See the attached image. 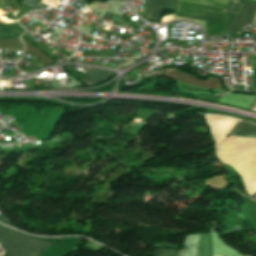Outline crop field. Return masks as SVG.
I'll use <instances>...</instances> for the list:
<instances>
[{"instance_id":"8a807250","label":"crop field","mask_w":256,"mask_h":256,"mask_svg":"<svg viewBox=\"0 0 256 256\" xmlns=\"http://www.w3.org/2000/svg\"><path fill=\"white\" fill-rule=\"evenodd\" d=\"M229 0H178L176 14L165 16L161 24L173 19L206 22V35L223 36L229 14L223 13Z\"/></svg>"},{"instance_id":"ac0d7876","label":"crop field","mask_w":256,"mask_h":256,"mask_svg":"<svg viewBox=\"0 0 256 256\" xmlns=\"http://www.w3.org/2000/svg\"><path fill=\"white\" fill-rule=\"evenodd\" d=\"M49 245L0 227V247L6 256H38Z\"/></svg>"},{"instance_id":"34b2d1b8","label":"crop field","mask_w":256,"mask_h":256,"mask_svg":"<svg viewBox=\"0 0 256 256\" xmlns=\"http://www.w3.org/2000/svg\"><path fill=\"white\" fill-rule=\"evenodd\" d=\"M225 12L232 14L227 26L226 34L233 33L241 31L244 22H252L256 12V5L239 0H230Z\"/></svg>"},{"instance_id":"412701ff","label":"crop field","mask_w":256,"mask_h":256,"mask_svg":"<svg viewBox=\"0 0 256 256\" xmlns=\"http://www.w3.org/2000/svg\"><path fill=\"white\" fill-rule=\"evenodd\" d=\"M199 234L186 235L179 256H195ZM196 256H212L210 234H200Z\"/></svg>"},{"instance_id":"f4fd0767","label":"crop field","mask_w":256,"mask_h":256,"mask_svg":"<svg viewBox=\"0 0 256 256\" xmlns=\"http://www.w3.org/2000/svg\"><path fill=\"white\" fill-rule=\"evenodd\" d=\"M173 0H150L147 8L146 18L159 23V18L163 9H168Z\"/></svg>"},{"instance_id":"dd49c442","label":"crop field","mask_w":256,"mask_h":256,"mask_svg":"<svg viewBox=\"0 0 256 256\" xmlns=\"http://www.w3.org/2000/svg\"><path fill=\"white\" fill-rule=\"evenodd\" d=\"M112 75V73L89 67V72L84 83L88 85L98 84L108 80Z\"/></svg>"},{"instance_id":"e52e79f7","label":"crop field","mask_w":256,"mask_h":256,"mask_svg":"<svg viewBox=\"0 0 256 256\" xmlns=\"http://www.w3.org/2000/svg\"><path fill=\"white\" fill-rule=\"evenodd\" d=\"M230 135L256 138V125L241 121L231 131Z\"/></svg>"},{"instance_id":"d8731c3e","label":"crop field","mask_w":256,"mask_h":256,"mask_svg":"<svg viewBox=\"0 0 256 256\" xmlns=\"http://www.w3.org/2000/svg\"><path fill=\"white\" fill-rule=\"evenodd\" d=\"M20 36L17 31L11 26L0 24V39H9Z\"/></svg>"},{"instance_id":"5a996713","label":"crop field","mask_w":256,"mask_h":256,"mask_svg":"<svg viewBox=\"0 0 256 256\" xmlns=\"http://www.w3.org/2000/svg\"><path fill=\"white\" fill-rule=\"evenodd\" d=\"M41 1L42 0H22V5L31 10L37 6L45 9L48 5L42 3Z\"/></svg>"},{"instance_id":"3316defc","label":"crop field","mask_w":256,"mask_h":256,"mask_svg":"<svg viewBox=\"0 0 256 256\" xmlns=\"http://www.w3.org/2000/svg\"><path fill=\"white\" fill-rule=\"evenodd\" d=\"M179 251L170 249H155L154 256H178Z\"/></svg>"},{"instance_id":"28ad6ade","label":"crop field","mask_w":256,"mask_h":256,"mask_svg":"<svg viewBox=\"0 0 256 256\" xmlns=\"http://www.w3.org/2000/svg\"><path fill=\"white\" fill-rule=\"evenodd\" d=\"M252 65H253L254 91H256V54H252Z\"/></svg>"},{"instance_id":"d1516ede","label":"crop field","mask_w":256,"mask_h":256,"mask_svg":"<svg viewBox=\"0 0 256 256\" xmlns=\"http://www.w3.org/2000/svg\"><path fill=\"white\" fill-rule=\"evenodd\" d=\"M0 221L11 225V223H10L8 220H6V219H4V218H2V217H0Z\"/></svg>"}]
</instances>
